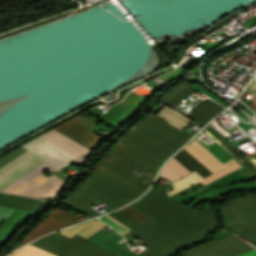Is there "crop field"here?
I'll list each match as a JSON object with an SVG mask.
<instances>
[{"mask_svg":"<svg viewBox=\"0 0 256 256\" xmlns=\"http://www.w3.org/2000/svg\"><path fill=\"white\" fill-rule=\"evenodd\" d=\"M200 180H202L201 176L195 172H192L188 176H186L178 181H173L172 183H173L174 189L167 192V194L169 196H171V195L199 182Z\"/></svg>","mask_w":256,"mask_h":256,"instance_id":"obj_13","label":"crop field"},{"mask_svg":"<svg viewBox=\"0 0 256 256\" xmlns=\"http://www.w3.org/2000/svg\"><path fill=\"white\" fill-rule=\"evenodd\" d=\"M131 205L153 219L127 232L146 245L148 251L138 256H170L200 239L215 224L212 213L185 206L153 190Z\"/></svg>","mask_w":256,"mask_h":256,"instance_id":"obj_2","label":"crop field"},{"mask_svg":"<svg viewBox=\"0 0 256 256\" xmlns=\"http://www.w3.org/2000/svg\"><path fill=\"white\" fill-rule=\"evenodd\" d=\"M13 209L0 207V223L12 212Z\"/></svg>","mask_w":256,"mask_h":256,"instance_id":"obj_21","label":"crop field"},{"mask_svg":"<svg viewBox=\"0 0 256 256\" xmlns=\"http://www.w3.org/2000/svg\"><path fill=\"white\" fill-rule=\"evenodd\" d=\"M191 87V86H190ZM189 86L181 83L177 87H175L174 91L167 96H165L161 102L165 103L169 107L175 106L179 101H181L184 97L195 91Z\"/></svg>","mask_w":256,"mask_h":256,"instance_id":"obj_12","label":"crop field"},{"mask_svg":"<svg viewBox=\"0 0 256 256\" xmlns=\"http://www.w3.org/2000/svg\"><path fill=\"white\" fill-rule=\"evenodd\" d=\"M242 256H256V250L255 251H252V252H249L247 254H244Z\"/></svg>","mask_w":256,"mask_h":256,"instance_id":"obj_23","label":"crop field"},{"mask_svg":"<svg viewBox=\"0 0 256 256\" xmlns=\"http://www.w3.org/2000/svg\"><path fill=\"white\" fill-rule=\"evenodd\" d=\"M75 119H77V120H79V121L85 123L86 125H88V126H90V127H92V128L98 124V123H96V122L90 120L89 118H87V117L81 115V114L75 116Z\"/></svg>","mask_w":256,"mask_h":256,"instance_id":"obj_20","label":"crop field"},{"mask_svg":"<svg viewBox=\"0 0 256 256\" xmlns=\"http://www.w3.org/2000/svg\"><path fill=\"white\" fill-rule=\"evenodd\" d=\"M162 109H164V110H166V111H168V112H170V113H172V114L182 118L183 120H185L187 122L190 121V119L186 118L185 116L181 115L180 113H178V112H176V111H174V110H172V109H170V108H168L166 106H164Z\"/></svg>","mask_w":256,"mask_h":256,"instance_id":"obj_22","label":"crop field"},{"mask_svg":"<svg viewBox=\"0 0 256 256\" xmlns=\"http://www.w3.org/2000/svg\"><path fill=\"white\" fill-rule=\"evenodd\" d=\"M202 186H204L202 183H197V184H195V185H193V186H191V187H189V188H187V189H185V190H183V191H181V192H179V193H177V194H175V195H173V196H171V197H173V198H175V199H177V198H179V197H181V196H183V195H185V194H187V193H189V192H192V191H194V190H196V189H198V188H200V187H202ZM170 197V198H171ZM172 198V199H173ZM174 199V200H175Z\"/></svg>","mask_w":256,"mask_h":256,"instance_id":"obj_19","label":"crop field"},{"mask_svg":"<svg viewBox=\"0 0 256 256\" xmlns=\"http://www.w3.org/2000/svg\"><path fill=\"white\" fill-rule=\"evenodd\" d=\"M109 215L130 229L133 228L138 223V222L134 221L133 219L129 218L128 216H126L125 214H123L119 210H117Z\"/></svg>","mask_w":256,"mask_h":256,"instance_id":"obj_17","label":"crop field"},{"mask_svg":"<svg viewBox=\"0 0 256 256\" xmlns=\"http://www.w3.org/2000/svg\"><path fill=\"white\" fill-rule=\"evenodd\" d=\"M22 147L61 169L70 162L82 166L91 154L89 149L54 130Z\"/></svg>","mask_w":256,"mask_h":256,"instance_id":"obj_5","label":"crop field"},{"mask_svg":"<svg viewBox=\"0 0 256 256\" xmlns=\"http://www.w3.org/2000/svg\"><path fill=\"white\" fill-rule=\"evenodd\" d=\"M240 167H242V166L239 165L236 162V163H234V164H232V165H230V166H228V167H226V168H224V169H222V170H220V171H218V172H216V173L206 177L205 180H202L200 182H202L203 184L206 185V184L214 181L215 179H217V178H219V177H221V176H223V175H225V174H227L229 172H232V171H234V170H236V169H238Z\"/></svg>","mask_w":256,"mask_h":256,"instance_id":"obj_15","label":"crop field"},{"mask_svg":"<svg viewBox=\"0 0 256 256\" xmlns=\"http://www.w3.org/2000/svg\"><path fill=\"white\" fill-rule=\"evenodd\" d=\"M31 244L58 256H117L111 251L77 235L69 240L54 233Z\"/></svg>","mask_w":256,"mask_h":256,"instance_id":"obj_7","label":"crop field"},{"mask_svg":"<svg viewBox=\"0 0 256 256\" xmlns=\"http://www.w3.org/2000/svg\"><path fill=\"white\" fill-rule=\"evenodd\" d=\"M97 219L89 222V223H85V224H81V225H78L74 228H71V229H67V230H64V231H61L59 232L60 234L68 237V238H72L73 236H75L77 233L85 230L87 227H89L92 223H94ZM106 224H104L103 222L101 221H97L95 222L93 225H91L89 228H87L85 231L77 234L83 238H88L89 236H91L92 234H94L95 232H97L98 230H100L102 227H104Z\"/></svg>","mask_w":256,"mask_h":256,"instance_id":"obj_11","label":"crop field"},{"mask_svg":"<svg viewBox=\"0 0 256 256\" xmlns=\"http://www.w3.org/2000/svg\"><path fill=\"white\" fill-rule=\"evenodd\" d=\"M191 137L149 114L123 134L94 169L141 195L146 189L134 184L138 177L128 168L133 165L142 172L148 167L157 172L163 162Z\"/></svg>","mask_w":256,"mask_h":256,"instance_id":"obj_1","label":"crop field"},{"mask_svg":"<svg viewBox=\"0 0 256 256\" xmlns=\"http://www.w3.org/2000/svg\"><path fill=\"white\" fill-rule=\"evenodd\" d=\"M223 109V107L208 99L186 116L205 125L210 119H212Z\"/></svg>","mask_w":256,"mask_h":256,"instance_id":"obj_10","label":"crop field"},{"mask_svg":"<svg viewBox=\"0 0 256 256\" xmlns=\"http://www.w3.org/2000/svg\"><path fill=\"white\" fill-rule=\"evenodd\" d=\"M74 223H76V221L72 218L70 213L62 210H53L44 220L35 226L29 234L26 235L20 244L23 245L48 232Z\"/></svg>","mask_w":256,"mask_h":256,"instance_id":"obj_8","label":"crop field"},{"mask_svg":"<svg viewBox=\"0 0 256 256\" xmlns=\"http://www.w3.org/2000/svg\"><path fill=\"white\" fill-rule=\"evenodd\" d=\"M54 129L91 150L103 139L73 118Z\"/></svg>","mask_w":256,"mask_h":256,"instance_id":"obj_9","label":"crop field"},{"mask_svg":"<svg viewBox=\"0 0 256 256\" xmlns=\"http://www.w3.org/2000/svg\"><path fill=\"white\" fill-rule=\"evenodd\" d=\"M101 220L106 222L107 224H109L111 227H113L115 230H117L122 235L130 230L127 227H125L124 225H122L121 223H119L118 221H116L115 219L108 216V215L104 216Z\"/></svg>","mask_w":256,"mask_h":256,"instance_id":"obj_18","label":"crop field"},{"mask_svg":"<svg viewBox=\"0 0 256 256\" xmlns=\"http://www.w3.org/2000/svg\"><path fill=\"white\" fill-rule=\"evenodd\" d=\"M140 195L94 170L62 203L82 211L88 218L99 215L89 206L99 200L113 210L130 203Z\"/></svg>","mask_w":256,"mask_h":256,"instance_id":"obj_4","label":"crop field"},{"mask_svg":"<svg viewBox=\"0 0 256 256\" xmlns=\"http://www.w3.org/2000/svg\"><path fill=\"white\" fill-rule=\"evenodd\" d=\"M184 148L187 149L191 154H193L213 172L218 171L223 167L235 162V160L232 158L222 163L196 139L193 140L189 145H186ZM185 149L174 157V160L176 162H178L190 172L195 170L203 178L213 173ZM172 159L169 160L167 164L163 167L160 173L161 176L169 179L170 181H173L180 179L179 176L183 177L184 175L190 173Z\"/></svg>","mask_w":256,"mask_h":256,"instance_id":"obj_6","label":"crop field"},{"mask_svg":"<svg viewBox=\"0 0 256 256\" xmlns=\"http://www.w3.org/2000/svg\"><path fill=\"white\" fill-rule=\"evenodd\" d=\"M10 256H56L51 254L47 251H44L40 248H37L31 244L23 247L22 249L16 251L15 253L11 254Z\"/></svg>","mask_w":256,"mask_h":256,"instance_id":"obj_14","label":"crop field"},{"mask_svg":"<svg viewBox=\"0 0 256 256\" xmlns=\"http://www.w3.org/2000/svg\"><path fill=\"white\" fill-rule=\"evenodd\" d=\"M43 161L44 160L27 151L2 167L0 169V191L38 166ZM47 170L59 171L61 169L45 161L24 175L22 178L8 186L2 192H10L40 198L53 197L58 194L67 183L54 174L49 178L46 177L42 173Z\"/></svg>","mask_w":256,"mask_h":256,"instance_id":"obj_3","label":"crop field"},{"mask_svg":"<svg viewBox=\"0 0 256 256\" xmlns=\"http://www.w3.org/2000/svg\"><path fill=\"white\" fill-rule=\"evenodd\" d=\"M156 116L168 121L169 123L175 125L176 127L180 128L181 130L187 125L185 122H183L181 119L171 115L170 113L160 110Z\"/></svg>","mask_w":256,"mask_h":256,"instance_id":"obj_16","label":"crop field"}]
</instances>
